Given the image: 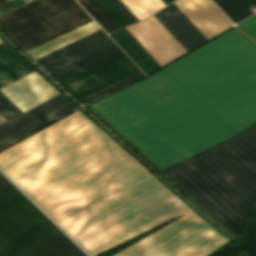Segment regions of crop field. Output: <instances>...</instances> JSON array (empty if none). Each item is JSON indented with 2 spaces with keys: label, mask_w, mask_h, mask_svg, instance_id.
<instances>
[{
  "label": "crop field",
  "mask_w": 256,
  "mask_h": 256,
  "mask_svg": "<svg viewBox=\"0 0 256 256\" xmlns=\"http://www.w3.org/2000/svg\"><path fill=\"white\" fill-rule=\"evenodd\" d=\"M0 153L2 170L89 255L205 256L226 241L78 109Z\"/></svg>",
  "instance_id": "1"
},
{
  "label": "crop field",
  "mask_w": 256,
  "mask_h": 256,
  "mask_svg": "<svg viewBox=\"0 0 256 256\" xmlns=\"http://www.w3.org/2000/svg\"><path fill=\"white\" fill-rule=\"evenodd\" d=\"M91 106L163 169L256 121V44L234 27Z\"/></svg>",
  "instance_id": "2"
},
{
  "label": "crop field",
  "mask_w": 256,
  "mask_h": 256,
  "mask_svg": "<svg viewBox=\"0 0 256 256\" xmlns=\"http://www.w3.org/2000/svg\"><path fill=\"white\" fill-rule=\"evenodd\" d=\"M163 171L237 235L256 203V123Z\"/></svg>",
  "instance_id": "3"
},
{
  "label": "crop field",
  "mask_w": 256,
  "mask_h": 256,
  "mask_svg": "<svg viewBox=\"0 0 256 256\" xmlns=\"http://www.w3.org/2000/svg\"><path fill=\"white\" fill-rule=\"evenodd\" d=\"M62 234L12 184L0 193V256H34Z\"/></svg>",
  "instance_id": "4"
},
{
  "label": "crop field",
  "mask_w": 256,
  "mask_h": 256,
  "mask_svg": "<svg viewBox=\"0 0 256 256\" xmlns=\"http://www.w3.org/2000/svg\"><path fill=\"white\" fill-rule=\"evenodd\" d=\"M75 2L35 0L1 16L0 24L28 51L92 21Z\"/></svg>",
  "instance_id": "5"
},
{
  "label": "crop field",
  "mask_w": 256,
  "mask_h": 256,
  "mask_svg": "<svg viewBox=\"0 0 256 256\" xmlns=\"http://www.w3.org/2000/svg\"><path fill=\"white\" fill-rule=\"evenodd\" d=\"M100 29L37 61L59 80L111 57L121 50Z\"/></svg>",
  "instance_id": "6"
},
{
  "label": "crop field",
  "mask_w": 256,
  "mask_h": 256,
  "mask_svg": "<svg viewBox=\"0 0 256 256\" xmlns=\"http://www.w3.org/2000/svg\"><path fill=\"white\" fill-rule=\"evenodd\" d=\"M137 71L139 69L121 52L61 82L80 98Z\"/></svg>",
  "instance_id": "7"
},
{
  "label": "crop field",
  "mask_w": 256,
  "mask_h": 256,
  "mask_svg": "<svg viewBox=\"0 0 256 256\" xmlns=\"http://www.w3.org/2000/svg\"><path fill=\"white\" fill-rule=\"evenodd\" d=\"M126 29L161 66L187 52L154 16Z\"/></svg>",
  "instance_id": "8"
},
{
  "label": "crop field",
  "mask_w": 256,
  "mask_h": 256,
  "mask_svg": "<svg viewBox=\"0 0 256 256\" xmlns=\"http://www.w3.org/2000/svg\"><path fill=\"white\" fill-rule=\"evenodd\" d=\"M173 3L208 39L233 25L210 0H176Z\"/></svg>",
  "instance_id": "9"
},
{
  "label": "crop field",
  "mask_w": 256,
  "mask_h": 256,
  "mask_svg": "<svg viewBox=\"0 0 256 256\" xmlns=\"http://www.w3.org/2000/svg\"><path fill=\"white\" fill-rule=\"evenodd\" d=\"M0 90L22 111L57 94V92L35 71Z\"/></svg>",
  "instance_id": "10"
},
{
  "label": "crop field",
  "mask_w": 256,
  "mask_h": 256,
  "mask_svg": "<svg viewBox=\"0 0 256 256\" xmlns=\"http://www.w3.org/2000/svg\"><path fill=\"white\" fill-rule=\"evenodd\" d=\"M156 14L190 50L208 40L173 3Z\"/></svg>",
  "instance_id": "11"
},
{
  "label": "crop field",
  "mask_w": 256,
  "mask_h": 256,
  "mask_svg": "<svg viewBox=\"0 0 256 256\" xmlns=\"http://www.w3.org/2000/svg\"><path fill=\"white\" fill-rule=\"evenodd\" d=\"M31 71L33 69L8 46L0 49V88Z\"/></svg>",
  "instance_id": "12"
},
{
  "label": "crop field",
  "mask_w": 256,
  "mask_h": 256,
  "mask_svg": "<svg viewBox=\"0 0 256 256\" xmlns=\"http://www.w3.org/2000/svg\"><path fill=\"white\" fill-rule=\"evenodd\" d=\"M74 109L75 108L69 102L58 107L57 109L47 113L46 115L36 119L35 121L0 139V149L10 145L11 143L21 139L22 137L32 133L33 131L41 128L42 126L52 122L53 120L63 116L64 114Z\"/></svg>",
  "instance_id": "13"
},
{
  "label": "crop field",
  "mask_w": 256,
  "mask_h": 256,
  "mask_svg": "<svg viewBox=\"0 0 256 256\" xmlns=\"http://www.w3.org/2000/svg\"><path fill=\"white\" fill-rule=\"evenodd\" d=\"M100 29V27L94 22H90L82 27H79L69 33H66L54 40H51L41 46H38L30 51L28 53L35 59L54 51L66 44H69L83 36H86L96 30Z\"/></svg>",
  "instance_id": "14"
},
{
  "label": "crop field",
  "mask_w": 256,
  "mask_h": 256,
  "mask_svg": "<svg viewBox=\"0 0 256 256\" xmlns=\"http://www.w3.org/2000/svg\"><path fill=\"white\" fill-rule=\"evenodd\" d=\"M68 102L60 95L48 100L47 102L37 106L36 108L26 112L25 114L15 118L0 127V138L13 132L14 130L24 126L25 124L35 120L36 118L46 114L47 112L57 108L58 106Z\"/></svg>",
  "instance_id": "15"
},
{
  "label": "crop field",
  "mask_w": 256,
  "mask_h": 256,
  "mask_svg": "<svg viewBox=\"0 0 256 256\" xmlns=\"http://www.w3.org/2000/svg\"><path fill=\"white\" fill-rule=\"evenodd\" d=\"M234 22L237 23L255 13L249 7H256V0H213Z\"/></svg>",
  "instance_id": "16"
},
{
  "label": "crop field",
  "mask_w": 256,
  "mask_h": 256,
  "mask_svg": "<svg viewBox=\"0 0 256 256\" xmlns=\"http://www.w3.org/2000/svg\"><path fill=\"white\" fill-rule=\"evenodd\" d=\"M36 256H87L64 234Z\"/></svg>",
  "instance_id": "17"
},
{
  "label": "crop field",
  "mask_w": 256,
  "mask_h": 256,
  "mask_svg": "<svg viewBox=\"0 0 256 256\" xmlns=\"http://www.w3.org/2000/svg\"><path fill=\"white\" fill-rule=\"evenodd\" d=\"M115 33L134 52V54L146 65V67L151 72L161 67L125 28Z\"/></svg>",
  "instance_id": "18"
},
{
  "label": "crop field",
  "mask_w": 256,
  "mask_h": 256,
  "mask_svg": "<svg viewBox=\"0 0 256 256\" xmlns=\"http://www.w3.org/2000/svg\"><path fill=\"white\" fill-rule=\"evenodd\" d=\"M131 12L139 19H144L164 6H166L161 0H121Z\"/></svg>",
  "instance_id": "19"
},
{
  "label": "crop field",
  "mask_w": 256,
  "mask_h": 256,
  "mask_svg": "<svg viewBox=\"0 0 256 256\" xmlns=\"http://www.w3.org/2000/svg\"><path fill=\"white\" fill-rule=\"evenodd\" d=\"M107 32L120 29L94 0H77Z\"/></svg>",
  "instance_id": "20"
},
{
  "label": "crop field",
  "mask_w": 256,
  "mask_h": 256,
  "mask_svg": "<svg viewBox=\"0 0 256 256\" xmlns=\"http://www.w3.org/2000/svg\"><path fill=\"white\" fill-rule=\"evenodd\" d=\"M143 76L144 75L142 74V72L139 71V72H137V73H135V74H133L131 76H128V77H126V78H124L122 80H119V81H117V82H115V83H113L111 85H108V86H106V87H104V88H102L100 90H97V91H95V92H93L91 94H88V95L80 98V100L83 103H87V102H89V101H91V100H93L95 98H98V97H100V96H102V95H104V94H106L108 92H111V91H113V90H115V89H117L119 87H122V86H124V85H126V84H128V83H130L132 81H135V80H137V79H139V78H141Z\"/></svg>",
  "instance_id": "21"
},
{
  "label": "crop field",
  "mask_w": 256,
  "mask_h": 256,
  "mask_svg": "<svg viewBox=\"0 0 256 256\" xmlns=\"http://www.w3.org/2000/svg\"><path fill=\"white\" fill-rule=\"evenodd\" d=\"M103 10L115 21V23L120 27L129 25V23L124 19V17L111 5L108 0H95Z\"/></svg>",
  "instance_id": "22"
},
{
  "label": "crop field",
  "mask_w": 256,
  "mask_h": 256,
  "mask_svg": "<svg viewBox=\"0 0 256 256\" xmlns=\"http://www.w3.org/2000/svg\"><path fill=\"white\" fill-rule=\"evenodd\" d=\"M116 43L128 54V56L140 67V69L145 73H151L145 65L132 53V51L120 40V38L115 34L110 35Z\"/></svg>",
  "instance_id": "23"
},
{
  "label": "crop field",
  "mask_w": 256,
  "mask_h": 256,
  "mask_svg": "<svg viewBox=\"0 0 256 256\" xmlns=\"http://www.w3.org/2000/svg\"><path fill=\"white\" fill-rule=\"evenodd\" d=\"M238 26L256 41V14L237 24Z\"/></svg>",
  "instance_id": "24"
},
{
  "label": "crop field",
  "mask_w": 256,
  "mask_h": 256,
  "mask_svg": "<svg viewBox=\"0 0 256 256\" xmlns=\"http://www.w3.org/2000/svg\"><path fill=\"white\" fill-rule=\"evenodd\" d=\"M112 5L125 17L130 23L138 21V19L130 12V10L120 0H109Z\"/></svg>",
  "instance_id": "25"
},
{
  "label": "crop field",
  "mask_w": 256,
  "mask_h": 256,
  "mask_svg": "<svg viewBox=\"0 0 256 256\" xmlns=\"http://www.w3.org/2000/svg\"><path fill=\"white\" fill-rule=\"evenodd\" d=\"M0 115L7 121L16 116L5 104L0 101Z\"/></svg>",
  "instance_id": "26"
},
{
  "label": "crop field",
  "mask_w": 256,
  "mask_h": 256,
  "mask_svg": "<svg viewBox=\"0 0 256 256\" xmlns=\"http://www.w3.org/2000/svg\"><path fill=\"white\" fill-rule=\"evenodd\" d=\"M0 100L5 103L16 115L20 114L21 112L12 104L10 103L1 93H0Z\"/></svg>",
  "instance_id": "27"
},
{
  "label": "crop field",
  "mask_w": 256,
  "mask_h": 256,
  "mask_svg": "<svg viewBox=\"0 0 256 256\" xmlns=\"http://www.w3.org/2000/svg\"><path fill=\"white\" fill-rule=\"evenodd\" d=\"M0 9L6 13L12 9H14V7L12 5H10L6 0H0Z\"/></svg>",
  "instance_id": "28"
},
{
  "label": "crop field",
  "mask_w": 256,
  "mask_h": 256,
  "mask_svg": "<svg viewBox=\"0 0 256 256\" xmlns=\"http://www.w3.org/2000/svg\"><path fill=\"white\" fill-rule=\"evenodd\" d=\"M11 183L3 176L0 178V191H2L4 188H6Z\"/></svg>",
  "instance_id": "29"
},
{
  "label": "crop field",
  "mask_w": 256,
  "mask_h": 256,
  "mask_svg": "<svg viewBox=\"0 0 256 256\" xmlns=\"http://www.w3.org/2000/svg\"><path fill=\"white\" fill-rule=\"evenodd\" d=\"M166 5L172 2L173 0H162Z\"/></svg>",
  "instance_id": "30"
},
{
  "label": "crop field",
  "mask_w": 256,
  "mask_h": 256,
  "mask_svg": "<svg viewBox=\"0 0 256 256\" xmlns=\"http://www.w3.org/2000/svg\"><path fill=\"white\" fill-rule=\"evenodd\" d=\"M6 122L1 116H0V124Z\"/></svg>",
  "instance_id": "31"
},
{
  "label": "crop field",
  "mask_w": 256,
  "mask_h": 256,
  "mask_svg": "<svg viewBox=\"0 0 256 256\" xmlns=\"http://www.w3.org/2000/svg\"><path fill=\"white\" fill-rule=\"evenodd\" d=\"M2 46H4V43L2 42V43H0V47H2Z\"/></svg>",
  "instance_id": "32"
},
{
  "label": "crop field",
  "mask_w": 256,
  "mask_h": 256,
  "mask_svg": "<svg viewBox=\"0 0 256 256\" xmlns=\"http://www.w3.org/2000/svg\"><path fill=\"white\" fill-rule=\"evenodd\" d=\"M3 14V12L0 10V15Z\"/></svg>",
  "instance_id": "33"
},
{
  "label": "crop field",
  "mask_w": 256,
  "mask_h": 256,
  "mask_svg": "<svg viewBox=\"0 0 256 256\" xmlns=\"http://www.w3.org/2000/svg\"><path fill=\"white\" fill-rule=\"evenodd\" d=\"M3 175L0 173V177H2Z\"/></svg>",
  "instance_id": "34"
},
{
  "label": "crop field",
  "mask_w": 256,
  "mask_h": 256,
  "mask_svg": "<svg viewBox=\"0 0 256 256\" xmlns=\"http://www.w3.org/2000/svg\"><path fill=\"white\" fill-rule=\"evenodd\" d=\"M0 42H2V41L0 40Z\"/></svg>",
  "instance_id": "35"
}]
</instances>
